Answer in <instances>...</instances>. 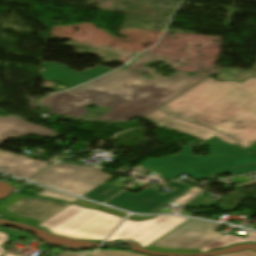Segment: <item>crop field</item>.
Here are the masks:
<instances>
[{
  "mask_svg": "<svg viewBox=\"0 0 256 256\" xmlns=\"http://www.w3.org/2000/svg\"><path fill=\"white\" fill-rule=\"evenodd\" d=\"M173 217L175 216H160L155 219L142 222L127 220L108 240L113 241L121 238H127L138 241Z\"/></svg>",
  "mask_w": 256,
  "mask_h": 256,
  "instance_id": "28ad6ade",
  "label": "crop field"
},
{
  "mask_svg": "<svg viewBox=\"0 0 256 256\" xmlns=\"http://www.w3.org/2000/svg\"><path fill=\"white\" fill-rule=\"evenodd\" d=\"M74 203H76L78 205L90 207V208H98V209H101V210H104V211H107V212H110V213H113V214H116V215H119V216H122V217L125 216L124 212L113 210V209H109V208H105L103 206H99V205H96V204H93V203H89V202H86V201H83V200H80V199H78Z\"/></svg>",
  "mask_w": 256,
  "mask_h": 256,
  "instance_id": "92a150f3",
  "label": "crop field"
},
{
  "mask_svg": "<svg viewBox=\"0 0 256 256\" xmlns=\"http://www.w3.org/2000/svg\"><path fill=\"white\" fill-rule=\"evenodd\" d=\"M253 184H256V180H252V181H249V182H246L244 184H241V185H237L239 187H245V186H249V185H253Z\"/></svg>",
  "mask_w": 256,
  "mask_h": 256,
  "instance_id": "eef30255",
  "label": "crop field"
},
{
  "mask_svg": "<svg viewBox=\"0 0 256 256\" xmlns=\"http://www.w3.org/2000/svg\"><path fill=\"white\" fill-rule=\"evenodd\" d=\"M159 109L219 130L245 148L256 141V78L241 84L209 78Z\"/></svg>",
  "mask_w": 256,
  "mask_h": 256,
  "instance_id": "ac0d7876",
  "label": "crop field"
},
{
  "mask_svg": "<svg viewBox=\"0 0 256 256\" xmlns=\"http://www.w3.org/2000/svg\"><path fill=\"white\" fill-rule=\"evenodd\" d=\"M123 218L70 204L38 226L78 240H103Z\"/></svg>",
  "mask_w": 256,
  "mask_h": 256,
  "instance_id": "412701ff",
  "label": "crop field"
},
{
  "mask_svg": "<svg viewBox=\"0 0 256 256\" xmlns=\"http://www.w3.org/2000/svg\"><path fill=\"white\" fill-rule=\"evenodd\" d=\"M29 134L44 137L54 136L53 131L36 126L22 119L13 116L0 118V143L9 138ZM47 166H49V163L44 161L32 160L27 156L0 152V171L24 179L31 178Z\"/></svg>",
  "mask_w": 256,
  "mask_h": 256,
  "instance_id": "f4fd0767",
  "label": "crop field"
},
{
  "mask_svg": "<svg viewBox=\"0 0 256 256\" xmlns=\"http://www.w3.org/2000/svg\"><path fill=\"white\" fill-rule=\"evenodd\" d=\"M22 196L21 195H14L8 202H5V203H2L0 204V215L4 216V217H7L9 219H12V220H16V221H19V222H22V223H27V224H32V225H37L39 224L40 222H36V221H33V220H29V219H26V218H22V217H19V216H15V215H12L10 213H8L6 211V207L14 202H16L17 200H19ZM25 197V196H24ZM31 198H38V197H31ZM40 199H48V198H40ZM49 200H53V199H49ZM58 201V200H57Z\"/></svg>",
  "mask_w": 256,
  "mask_h": 256,
  "instance_id": "d9b57169",
  "label": "crop field"
},
{
  "mask_svg": "<svg viewBox=\"0 0 256 256\" xmlns=\"http://www.w3.org/2000/svg\"><path fill=\"white\" fill-rule=\"evenodd\" d=\"M8 239H7V236L6 234L0 232V245L4 242H6ZM0 251L1 252H4V249L0 248Z\"/></svg>",
  "mask_w": 256,
  "mask_h": 256,
  "instance_id": "4177f3b9",
  "label": "crop field"
},
{
  "mask_svg": "<svg viewBox=\"0 0 256 256\" xmlns=\"http://www.w3.org/2000/svg\"><path fill=\"white\" fill-rule=\"evenodd\" d=\"M144 118H147V119H149L157 124H160L162 126H165L167 128L183 131L185 133L191 134L193 136L199 137L204 140L216 135L226 142H230L232 144H237V147L239 146L237 142L233 141L232 139H230L214 130L202 128L195 124L168 116L158 110L152 112L151 114H149L148 116H146Z\"/></svg>",
  "mask_w": 256,
  "mask_h": 256,
  "instance_id": "3316defc",
  "label": "crop field"
},
{
  "mask_svg": "<svg viewBox=\"0 0 256 256\" xmlns=\"http://www.w3.org/2000/svg\"><path fill=\"white\" fill-rule=\"evenodd\" d=\"M36 195L48 196V197H52V198H56V199H62V200H67V201H71V202L77 200V199H74V198H71V197H68V196H65V195H62V194L50 191V190H46V189L40 191Z\"/></svg>",
  "mask_w": 256,
  "mask_h": 256,
  "instance_id": "dafd665d",
  "label": "crop field"
},
{
  "mask_svg": "<svg viewBox=\"0 0 256 256\" xmlns=\"http://www.w3.org/2000/svg\"><path fill=\"white\" fill-rule=\"evenodd\" d=\"M247 149L255 151L256 152V142L254 144H252L251 146H249Z\"/></svg>",
  "mask_w": 256,
  "mask_h": 256,
  "instance_id": "ae1a2a85",
  "label": "crop field"
},
{
  "mask_svg": "<svg viewBox=\"0 0 256 256\" xmlns=\"http://www.w3.org/2000/svg\"><path fill=\"white\" fill-rule=\"evenodd\" d=\"M121 190L122 189L103 183L95 188L93 191L88 193L86 198L99 202H104Z\"/></svg>",
  "mask_w": 256,
  "mask_h": 256,
  "instance_id": "5142ce71",
  "label": "crop field"
},
{
  "mask_svg": "<svg viewBox=\"0 0 256 256\" xmlns=\"http://www.w3.org/2000/svg\"><path fill=\"white\" fill-rule=\"evenodd\" d=\"M203 145L210 148L211 156L174 160L146 170L168 179H175L184 173L199 181L219 170L256 163V154L247 153L217 137Z\"/></svg>",
  "mask_w": 256,
  "mask_h": 256,
  "instance_id": "34b2d1b8",
  "label": "crop field"
},
{
  "mask_svg": "<svg viewBox=\"0 0 256 256\" xmlns=\"http://www.w3.org/2000/svg\"><path fill=\"white\" fill-rule=\"evenodd\" d=\"M67 205L68 204L62 202L22 197L19 201L6 209L15 215L42 222Z\"/></svg>",
  "mask_w": 256,
  "mask_h": 256,
  "instance_id": "5a996713",
  "label": "crop field"
},
{
  "mask_svg": "<svg viewBox=\"0 0 256 256\" xmlns=\"http://www.w3.org/2000/svg\"><path fill=\"white\" fill-rule=\"evenodd\" d=\"M93 251L68 252L64 256H89Z\"/></svg>",
  "mask_w": 256,
  "mask_h": 256,
  "instance_id": "a9b5d70f",
  "label": "crop field"
},
{
  "mask_svg": "<svg viewBox=\"0 0 256 256\" xmlns=\"http://www.w3.org/2000/svg\"><path fill=\"white\" fill-rule=\"evenodd\" d=\"M88 167L57 165L49 168L32 181L77 196H84L112 176Z\"/></svg>",
  "mask_w": 256,
  "mask_h": 256,
  "instance_id": "dd49c442",
  "label": "crop field"
},
{
  "mask_svg": "<svg viewBox=\"0 0 256 256\" xmlns=\"http://www.w3.org/2000/svg\"><path fill=\"white\" fill-rule=\"evenodd\" d=\"M41 66L47 67L48 69L45 70L42 74H40L39 75L40 77H42L44 80L59 82L69 88H72L74 86H77L79 84L89 81L87 79H84L82 77H79L77 75L60 70L52 66H45V65H41Z\"/></svg>",
  "mask_w": 256,
  "mask_h": 256,
  "instance_id": "d1516ede",
  "label": "crop field"
},
{
  "mask_svg": "<svg viewBox=\"0 0 256 256\" xmlns=\"http://www.w3.org/2000/svg\"><path fill=\"white\" fill-rule=\"evenodd\" d=\"M219 226L220 224L192 219L155 245L183 249L203 248L222 236L212 232Z\"/></svg>",
  "mask_w": 256,
  "mask_h": 256,
  "instance_id": "e52e79f7",
  "label": "crop field"
},
{
  "mask_svg": "<svg viewBox=\"0 0 256 256\" xmlns=\"http://www.w3.org/2000/svg\"><path fill=\"white\" fill-rule=\"evenodd\" d=\"M186 220H188V219L187 218H182V217H175L172 220H170L169 222H167L166 224L162 225L161 227H159L158 229L153 231L151 234H149L148 236H146L142 240L138 241V243L142 247H146L149 244H151L152 242H154L155 240H157L158 238H160L161 236H163L164 234H166L167 232L171 231L172 229H174L175 227H177L178 225H180L181 223L186 221Z\"/></svg>",
  "mask_w": 256,
  "mask_h": 256,
  "instance_id": "22f410ed",
  "label": "crop field"
},
{
  "mask_svg": "<svg viewBox=\"0 0 256 256\" xmlns=\"http://www.w3.org/2000/svg\"><path fill=\"white\" fill-rule=\"evenodd\" d=\"M149 218H153V217H141V216H130V217H128V219H132V220H145V219H149Z\"/></svg>",
  "mask_w": 256,
  "mask_h": 256,
  "instance_id": "730fd06b",
  "label": "crop field"
},
{
  "mask_svg": "<svg viewBox=\"0 0 256 256\" xmlns=\"http://www.w3.org/2000/svg\"><path fill=\"white\" fill-rule=\"evenodd\" d=\"M252 171H256V165L241 167V168H237V169H233V170H229V171L220 172L217 174L230 173L232 175H236V174L247 173V172H252ZM217 174H215V175H217Z\"/></svg>",
  "mask_w": 256,
  "mask_h": 256,
  "instance_id": "00972430",
  "label": "crop field"
},
{
  "mask_svg": "<svg viewBox=\"0 0 256 256\" xmlns=\"http://www.w3.org/2000/svg\"><path fill=\"white\" fill-rule=\"evenodd\" d=\"M0 255H2V254L0 253Z\"/></svg>",
  "mask_w": 256,
  "mask_h": 256,
  "instance_id": "750c4746",
  "label": "crop field"
},
{
  "mask_svg": "<svg viewBox=\"0 0 256 256\" xmlns=\"http://www.w3.org/2000/svg\"><path fill=\"white\" fill-rule=\"evenodd\" d=\"M149 61L168 65L151 53H146L132 63L133 66L128 67L127 70L118 69L84 85L83 89L74 88L59 94L48 95L37 102L43 107L51 108L49 112L51 114L83 120H92L82 117L89 113L84 107L93 104L98 106V109L102 107L110 109L109 112L94 119L126 121L130 118L148 115L161 105L209 78L198 73L188 77L185 76V73L176 72L174 77L167 79L154 73V70L142 66ZM135 69L140 71L132 73ZM142 71L155 78L150 80L137 77Z\"/></svg>",
  "mask_w": 256,
  "mask_h": 256,
  "instance_id": "8a807250",
  "label": "crop field"
},
{
  "mask_svg": "<svg viewBox=\"0 0 256 256\" xmlns=\"http://www.w3.org/2000/svg\"><path fill=\"white\" fill-rule=\"evenodd\" d=\"M42 64H46V65H52V66H55V67H58V68H61L63 70H66V71H69V72H72L74 74H77L79 76H82L84 78H87L89 80L91 79H94L108 71H110L111 69H107V68H104L102 66H97L93 69H90V70H87L85 72H82V73H77L75 71H72V70H69L66 66H63L61 64H58V63H47V62H42Z\"/></svg>",
  "mask_w": 256,
  "mask_h": 256,
  "instance_id": "733c2abd",
  "label": "crop field"
},
{
  "mask_svg": "<svg viewBox=\"0 0 256 256\" xmlns=\"http://www.w3.org/2000/svg\"><path fill=\"white\" fill-rule=\"evenodd\" d=\"M240 242H256V234L249 231L246 236V239L226 234L220 239H218L217 241L203 248L199 252L210 251L212 249L221 248L232 243H240Z\"/></svg>",
  "mask_w": 256,
  "mask_h": 256,
  "instance_id": "cbeb9de0",
  "label": "crop field"
},
{
  "mask_svg": "<svg viewBox=\"0 0 256 256\" xmlns=\"http://www.w3.org/2000/svg\"><path fill=\"white\" fill-rule=\"evenodd\" d=\"M189 221V220H188ZM187 222V221H186ZM186 222H184V223H186ZM183 223V224H184ZM183 224H181V225H183ZM180 225V226H181ZM180 226H178V227H180ZM177 227V228H178ZM177 228H175V229H177ZM174 229V230H175ZM174 230H172V231H174ZM171 231V232H172ZM171 232H169L168 234H170ZM168 234H166V235H164L163 237H161L160 239H158L157 241H155L154 243H152L151 245H149L148 247H146V248H149V249H151V250H155V251H163V252H173V253H192V252H198L200 249H194V250H183V249H173V248H159V247H156V246H152L153 244H155L156 242H158L159 240H161L162 238H164L165 236H167Z\"/></svg>",
  "mask_w": 256,
  "mask_h": 256,
  "instance_id": "214f88e0",
  "label": "crop field"
},
{
  "mask_svg": "<svg viewBox=\"0 0 256 256\" xmlns=\"http://www.w3.org/2000/svg\"><path fill=\"white\" fill-rule=\"evenodd\" d=\"M188 157H193L190 145H183V148H182L180 154L150 160V161H147L139 166L146 169L147 167L157 164V163L170 161V160H174V159H180V158H188Z\"/></svg>",
  "mask_w": 256,
  "mask_h": 256,
  "instance_id": "4a817a6b",
  "label": "crop field"
},
{
  "mask_svg": "<svg viewBox=\"0 0 256 256\" xmlns=\"http://www.w3.org/2000/svg\"><path fill=\"white\" fill-rule=\"evenodd\" d=\"M167 186L176 188L168 194L156 193L153 189L141 190L138 193L122 192L117 197L107 202L114 207L133 211L136 213H152L171 198H175L184 193L189 186L171 182Z\"/></svg>",
  "mask_w": 256,
  "mask_h": 256,
  "instance_id": "d8731c3e",
  "label": "crop field"
},
{
  "mask_svg": "<svg viewBox=\"0 0 256 256\" xmlns=\"http://www.w3.org/2000/svg\"><path fill=\"white\" fill-rule=\"evenodd\" d=\"M94 256H143L135 253H131L128 251H102L99 250L96 252ZM219 256H256V254H252V251H242L238 253H228Z\"/></svg>",
  "mask_w": 256,
  "mask_h": 256,
  "instance_id": "bc2a9ffb",
  "label": "crop field"
},
{
  "mask_svg": "<svg viewBox=\"0 0 256 256\" xmlns=\"http://www.w3.org/2000/svg\"><path fill=\"white\" fill-rule=\"evenodd\" d=\"M4 256H16V255H10V254H6V255H4Z\"/></svg>",
  "mask_w": 256,
  "mask_h": 256,
  "instance_id": "d3111659",
  "label": "crop field"
}]
</instances>
